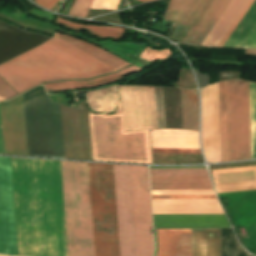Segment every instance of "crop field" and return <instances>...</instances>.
Wrapping results in <instances>:
<instances>
[{"instance_id":"obj_46","label":"crop field","mask_w":256,"mask_h":256,"mask_svg":"<svg viewBox=\"0 0 256 256\" xmlns=\"http://www.w3.org/2000/svg\"><path fill=\"white\" fill-rule=\"evenodd\" d=\"M34 1L50 10L59 0H34Z\"/></svg>"},{"instance_id":"obj_10","label":"crop field","mask_w":256,"mask_h":256,"mask_svg":"<svg viewBox=\"0 0 256 256\" xmlns=\"http://www.w3.org/2000/svg\"><path fill=\"white\" fill-rule=\"evenodd\" d=\"M65 158L92 160L88 113L61 106Z\"/></svg>"},{"instance_id":"obj_12","label":"crop field","mask_w":256,"mask_h":256,"mask_svg":"<svg viewBox=\"0 0 256 256\" xmlns=\"http://www.w3.org/2000/svg\"><path fill=\"white\" fill-rule=\"evenodd\" d=\"M201 140L208 163L220 162L218 83L201 90Z\"/></svg>"},{"instance_id":"obj_27","label":"crop field","mask_w":256,"mask_h":256,"mask_svg":"<svg viewBox=\"0 0 256 256\" xmlns=\"http://www.w3.org/2000/svg\"><path fill=\"white\" fill-rule=\"evenodd\" d=\"M122 75L118 72L112 75H108L102 78L90 80V81H66L53 84H44L47 91L50 90H68V89H80L86 87L100 86L122 79Z\"/></svg>"},{"instance_id":"obj_36","label":"crop field","mask_w":256,"mask_h":256,"mask_svg":"<svg viewBox=\"0 0 256 256\" xmlns=\"http://www.w3.org/2000/svg\"><path fill=\"white\" fill-rule=\"evenodd\" d=\"M171 53L168 48L161 51H154L147 47L144 52L141 54L140 58L146 59L148 61H155L157 59L163 60L169 57Z\"/></svg>"},{"instance_id":"obj_15","label":"crop field","mask_w":256,"mask_h":256,"mask_svg":"<svg viewBox=\"0 0 256 256\" xmlns=\"http://www.w3.org/2000/svg\"><path fill=\"white\" fill-rule=\"evenodd\" d=\"M226 197V207L235 227L244 226L249 238L242 239L247 249L256 253V190L218 194Z\"/></svg>"},{"instance_id":"obj_29","label":"crop field","mask_w":256,"mask_h":256,"mask_svg":"<svg viewBox=\"0 0 256 256\" xmlns=\"http://www.w3.org/2000/svg\"><path fill=\"white\" fill-rule=\"evenodd\" d=\"M58 24L64 25L72 30L78 31L80 28L84 27L88 31L91 32L92 35L97 37H113L114 39H121L123 30L122 28L118 27H104V26H91V25H81L69 22L64 20L60 17L57 18Z\"/></svg>"},{"instance_id":"obj_41","label":"crop field","mask_w":256,"mask_h":256,"mask_svg":"<svg viewBox=\"0 0 256 256\" xmlns=\"http://www.w3.org/2000/svg\"><path fill=\"white\" fill-rule=\"evenodd\" d=\"M152 153H201L200 150L152 149Z\"/></svg>"},{"instance_id":"obj_14","label":"crop field","mask_w":256,"mask_h":256,"mask_svg":"<svg viewBox=\"0 0 256 256\" xmlns=\"http://www.w3.org/2000/svg\"><path fill=\"white\" fill-rule=\"evenodd\" d=\"M151 190L213 189L206 169H150Z\"/></svg>"},{"instance_id":"obj_24","label":"crop field","mask_w":256,"mask_h":256,"mask_svg":"<svg viewBox=\"0 0 256 256\" xmlns=\"http://www.w3.org/2000/svg\"><path fill=\"white\" fill-rule=\"evenodd\" d=\"M221 162L229 161L227 81L219 83Z\"/></svg>"},{"instance_id":"obj_32","label":"crop field","mask_w":256,"mask_h":256,"mask_svg":"<svg viewBox=\"0 0 256 256\" xmlns=\"http://www.w3.org/2000/svg\"><path fill=\"white\" fill-rule=\"evenodd\" d=\"M252 159H256V84L249 82Z\"/></svg>"},{"instance_id":"obj_38","label":"crop field","mask_w":256,"mask_h":256,"mask_svg":"<svg viewBox=\"0 0 256 256\" xmlns=\"http://www.w3.org/2000/svg\"><path fill=\"white\" fill-rule=\"evenodd\" d=\"M254 2V0H249L248 3L246 4V6L244 7V9L241 11V13L239 14V16L237 17V19L234 21V23L232 24V26L230 27V29L227 31V33L225 34V36L223 37V39L220 41V43L218 44V46H223V44L226 42V40L228 39V37L230 36V34L233 32V30L235 29V27L238 25V23L240 22V20L242 19V17L245 15V13L247 12V10L249 9V7L252 5V3Z\"/></svg>"},{"instance_id":"obj_9","label":"crop field","mask_w":256,"mask_h":256,"mask_svg":"<svg viewBox=\"0 0 256 256\" xmlns=\"http://www.w3.org/2000/svg\"><path fill=\"white\" fill-rule=\"evenodd\" d=\"M126 132L157 129L153 87H118Z\"/></svg>"},{"instance_id":"obj_52","label":"crop field","mask_w":256,"mask_h":256,"mask_svg":"<svg viewBox=\"0 0 256 256\" xmlns=\"http://www.w3.org/2000/svg\"><path fill=\"white\" fill-rule=\"evenodd\" d=\"M140 1H144V2H147V1H151V0H140Z\"/></svg>"},{"instance_id":"obj_49","label":"crop field","mask_w":256,"mask_h":256,"mask_svg":"<svg viewBox=\"0 0 256 256\" xmlns=\"http://www.w3.org/2000/svg\"><path fill=\"white\" fill-rule=\"evenodd\" d=\"M219 199H220V201H221L223 207L227 205V203H226V201H225V198H219ZM224 209H225V208H224ZM225 211H226V210H225ZM226 213H227V212H226ZM227 215H228V214H227ZM228 218H229V216H228ZM229 220H230V218H229ZM230 222H231V220H230ZM231 224H232V222H231ZM232 226H233V224H232ZM238 228H239V226L236 227V228H234L235 232H238V231H239Z\"/></svg>"},{"instance_id":"obj_6","label":"crop field","mask_w":256,"mask_h":256,"mask_svg":"<svg viewBox=\"0 0 256 256\" xmlns=\"http://www.w3.org/2000/svg\"><path fill=\"white\" fill-rule=\"evenodd\" d=\"M95 256H119L113 165L88 163Z\"/></svg>"},{"instance_id":"obj_39","label":"crop field","mask_w":256,"mask_h":256,"mask_svg":"<svg viewBox=\"0 0 256 256\" xmlns=\"http://www.w3.org/2000/svg\"><path fill=\"white\" fill-rule=\"evenodd\" d=\"M15 95H17V94L6 83H4L0 79V97L9 99ZM4 98H0V101L7 100Z\"/></svg>"},{"instance_id":"obj_8","label":"crop field","mask_w":256,"mask_h":256,"mask_svg":"<svg viewBox=\"0 0 256 256\" xmlns=\"http://www.w3.org/2000/svg\"><path fill=\"white\" fill-rule=\"evenodd\" d=\"M230 161L251 159L248 82L228 81Z\"/></svg>"},{"instance_id":"obj_17","label":"crop field","mask_w":256,"mask_h":256,"mask_svg":"<svg viewBox=\"0 0 256 256\" xmlns=\"http://www.w3.org/2000/svg\"><path fill=\"white\" fill-rule=\"evenodd\" d=\"M158 254L157 256H192L191 229H157ZM157 235L154 229L157 253Z\"/></svg>"},{"instance_id":"obj_1","label":"crop field","mask_w":256,"mask_h":256,"mask_svg":"<svg viewBox=\"0 0 256 256\" xmlns=\"http://www.w3.org/2000/svg\"><path fill=\"white\" fill-rule=\"evenodd\" d=\"M11 164L18 255L67 256L60 161Z\"/></svg>"},{"instance_id":"obj_26","label":"crop field","mask_w":256,"mask_h":256,"mask_svg":"<svg viewBox=\"0 0 256 256\" xmlns=\"http://www.w3.org/2000/svg\"><path fill=\"white\" fill-rule=\"evenodd\" d=\"M68 34L89 40L91 42H94L130 63H133V61L136 59V57L142 52V50L145 47L144 45H140V44H136V43H132V42H120L118 44L112 43L110 41L97 42V41L91 40L85 36L77 35V34L70 33V32H68ZM128 53L136 56L135 59H134V56H132ZM126 54H128L127 56L133 58L134 60L126 57L125 56Z\"/></svg>"},{"instance_id":"obj_44","label":"crop field","mask_w":256,"mask_h":256,"mask_svg":"<svg viewBox=\"0 0 256 256\" xmlns=\"http://www.w3.org/2000/svg\"><path fill=\"white\" fill-rule=\"evenodd\" d=\"M184 93L189 98V100L191 101V103L194 105V107L196 108V110L198 112V94H197V91L196 90H187V91H184Z\"/></svg>"},{"instance_id":"obj_3","label":"crop field","mask_w":256,"mask_h":256,"mask_svg":"<svg viewBox=\"0 0 256 256\" xmlns=\"http://www.w3.org/2000/svg\"><path fill=\"white\" fill-rule=\"evenodd\" d=\"M120 256H152L147 167L114 165Z\"/></svg>"},{"instance_id":"obj_18","label":"crop field","mask_w":256,"mask_h":256,"mask_svg":"<svg viewBox=\"0 0 256 256\" xmlns=\"http://www.w3.org/2000/svg\"><path fill=\"white\" fill-rule=\"evenodd\" d=\"M154 228L230 227L225 215H153Z\"/></svg>"},{"instance_id":"obj_4","label":"crop field","mask_w":256,"mask_h":256,"mask_svg":"<svg viewBox=\"0 0 256 256\" xmlns=\"http://www.w3.org/2000/svg\"><path fill=\"white\" fill-rule=\"evenodd\" d=\"M68 256H94L87 163L61 161Z\"/></svg>"},{"instance_id":"obj_31","label":"crop field","mask_w":256,"mask_h":256,"mask_svg":"<svg viewBox=\"0 0 256 256\" xmlns=\"http://www.w3.org/2000/svg\"><path fill=\"white\" fill-rule=\"evenodd\" d=\"M239 245L233 231L222 229V256H250Z\"/></svg>"},{"instance_id":"obj_20","label":"crop field","mask_w":256,"mask_h":256,"mask_svg":"<svg viewBox=\"0 0 256 256\" xmlns=\"http://www.w3.org/2000/svg\"><path fill=\"white\" fill-rule=\"evenodd\" d=\"M193 256H221V229H192Z\"/></svg>"},{"instance_id":"obj_28","label":"crop field","mask_w":256,"mask_h":256,"mask_svg":"<svg viewBox=\"0 0 256 256\" xmlns=\"http://www.w3.org/2000/svg\"><path fill=\"white\" fill-rule=\"evenodd\" d=\"M256 22V0L248 10L246 15L243 17L239 25L236 27L234 32L231 34L227 42L224 44L226 47H239L241 42L244 40L250 29Z\"/></svg>"},{"instance_id":"obj_2","label":"crop field","mask_w":256,"mask_h":256,"mask_svg":"<svg viewBox=\"0 0 256 256\" xmlns=\"http://www.w3.org/2000/svg\"><path fill=\"white\" fill-rule=\"evenodd\" d=\"M112 71L116 69L57 37L0 65V77L18 94L42 82L89 78Z\"/></svg>"},{"instance_id":"obj_23","label":"crop field","mask_w":256,"mask_h":256,"mask_svg":"<svg viewBox=\"0 0 256 256\" xmlns=\"http://www.w3.org/2000/svg\"><path fill=\"white\" fill-rule=\"evenodd\" d=\"M55 36L65 40L66 42L76 46L77 48L87 52L88 54L96 57L97 59L107 63L108 65L120 70L128 65L129 63L123 61L122 59L112 55L111 53L97 47L94 45H91L89 43L83 42L79 39H75L69 36L61 35V34H55Z\"/></svg>"},{"instance_id":"obj_33","label":"crop field","mask_w":256,"mask_h":256,"mask_svg":"<svg viewBox=\"0 0 256 256\" xmlns=\"http://www.w3.org/2000/svg\"><path fill=\"white\" fill-rule=\"evenodd\" d=\"M158 129L165 128V112L162 87H154Z\"/></svg>"},{"instance_id":"obj_47","label":"crop field","mask_w":256,"mask_h":256,"mask_svg":"<svg viewBox=\"0 0 256 256\" xmlns=\"http://www.w3.org/2000/svg\"><path fill=\"white\" fill-rule=\"evenodd\" d=\"M141 70L142 69H140V68H138V67L133 65L131 67H128V68H125V69L121 70L120 72H121V74L123 76H125V75H129V74L137 73V72H139Z\"/></svg>"},{"instance_id":"obj_5","label":"crop field","mask_w":256,"mask_h":256,"mask_svg":"<svg viewBox=\"0 0 256 256\" xmlns=\"http://www.w3.org/2000/svg\"><path fill=\"white\" fill-rule=\"evenodd\" d=\"M116 115L90 118L93 160L151 164L148 130L125 133L122 106Z\"/></svg>"},{"instance_id":"obj_34","label":"crop field","mask_w":256,"mask_h":256,"mask_svg":"<svg viewBox=\"0 0 256 256\" xmlns=\"http://www.w3.org/2000/svg\"><path fill=\"white\" fill-rule=\"evenodd\" d=\"M93 0H75L68 15L85 18Z\"/></svg>"},{"instance_id":"obj_22","label":"crop field","mask_w":256,"mask_h":256,"mask_svg":"<svg viewBox=\"0 0 256 256\" xmlns=\"http://www.w3.org/2000/svg\"><path fill=\"white\" fill-rule=\"evenodd\" d=\"M248 0H232L201 45L217 46Z\"/></svg>"},{"instance_id":"obj_25","label":"crop field","mask_w":256,"mask_h":256,"mask_svg":"<svg viewBox=\"0 0 256 256\" xmlns=\"http://www.w3.org/2000/svg\"><path fill=\"white\" fill-rule=\"evenodd\" d=\"M85 94L88 105L93 109V112L114 110V99L117 97V92L114 86L86 92Z\"/></svg>"},{"instance_id":"obj_7","label":"crop field","mask_w":256,"mask_h":256,"mask_svg":"<svg viewBox=\"0 0 256 256\" xmlns=\"http://www.w3.org/2000/svg\"><path fill=\"white\" fill-rule=\"evenodd\" d=\"M231 0H170L166 19L192 27L183 43L200 45Z\"/></svg>"},{"instance_id":"obj_19","label":"crop field","mask_w":256,"mask_h":256,"mask_svg":"<svg viewBox=\"0 0 256 256\" xmlns=\"http://www.w3.org/2000/svg\"><path fill=\"white\" fill-rule=\"evenodd\" d=\"M152 148L200 149L198 132L185 130L150 131Z\"/></svg>"},{"instance_id":"obj_43","label":"crop field","mask_w":256,"mask_h":256,"mask_svg":"<svg viewBox=\"0 0 256 256\" xmlns=\"http://www.w3.org/2000/svg\"><path fill=\"white\" fill-rule=\"evenodd\" d=\"M217 198L216 196H152V199Z\"/></svg>"},{"instance_id":"obj_37","label":"crop field","mask_w":256,"mask_h":256,"mask_svg":"<svg viewBox=\"0 0 256 256\" xmlns=\"http://www.w3.org/2000/svg\"><path fill=\"white\" fill-rule=\"evenodd\" d=\"M119 0H94L90 9L116 10Z\"/></svg>"},{"instance_id":"obj_48","label":"crop field","mask_w":256,"mask_h":256,"mask_svg":"<svg viewBox=\"0 0 256 256\" xmlns=\"http://www.w3.org/2000/svg\"><path fill=\"white\" fill-rule=\"evenodd\" d=\"M0 154H4L3 139H2V129H1V118H0Z\"/></svg>"},{"instance_id":"obj_21","label":"crop field","mask_w":256,"mask_h":256,"mask_svg":"<svg viewBox=\"0 0 256 256\" xmlns=\"http://www.w3.org/2000/svg\"><path fill=\"white\" fill-rule=\"evenodd\" d=\"M218 193L256 189V170L212 175Z\"/></svg>"},{"instance_id":"obj_45","label":"crop field","mask_w":256,"mask_h":256,"mask_svg":"<svg viewBox=\"0 0 256 256\" xmlns=\"http://www.w3.org/2000/svg\"><path fill=\"white\" fill-rule=\"evenodd\" d=\"M255 167H245V168H235V169H225V170H215V171H211L212 174H216V173H226V172H235V171H245V170H255Z\"/></svg>"},{"instance_id":"obj_40","label":"crop field","mask_w":256,"mask_h":256,"mask_svg":"<svg viewBox=\"0 0 256 256\" xmlns=\"http://www.w3.org/2000/svg\"><path fill=\"white\" fill-rule=\"evenodd\" d=\"M198 79L199 87H203L210 84L209 74L200 73L201 69L194 68Z\"/></svg>"},{"instance_id":"obj_51","label":"crop field","mask_w":256,"mask_h":256,"mask_svg":"<svg viewBox=\"0 0 256 256\" xmlns=\"http://www.w3.org/2000/svg\"><path fill=\"white\" fill-rule=\"evenodd\" d=\"M250 48H256V39H255V41L253 42V44L250 46Z\"/></svg>"},{"instance_id":"obj_11","label":"crop field","mask_w":256,"mask_h":256,"mask_svg":"<svg viewBox=\"0 0 256 256\" xmlns=\"http://www.w3.org/2000/svg\"><path fill=\"white\" fill-rule=\"evenodd\" d=\"M0 254L17 255L10 158L0 157Z\"/></svg>"},{"instance_id":"obj_50","label":"crop field","mask_w":256,"mask_h":256,"mask_svg":"<svg viewBox=\"0 0 256 256\" xmlns=\"http://www.w3.org/2000/svg\"><path fill=\"white\" fill-rule=\"evenodd\" d=\"M246 54H248V55H256V50H246Z\"/></svg>"},{"instance_id":"obj_42","label":"crop field","mask_w":256,"mask_h":256,"mask_svg":"<svg viewBox=\"0 0 256 256\" xmlns=\"http://www.w3.org/2000/svg\"><path fill=\"white\" fill-rule=\"evenodd\" d=\"M255 38H256V24L251 29V31L249 32V34L247 35L245 40L242 42L240 47H247V48H249V46L252 44V42L254 41Z\"/></svg>"},{"instance_id":"obj_16","label":"crop field","mask_w":256,"mask_h":256,"mask_svg":"<svg viewBox=\"0 0 256 256\" xmlns=\"http://www.w3.org/2000/svg\"><path fill=\"white\" fill-rule=\"evenodd\" d=\"M153 214H224L217 199L152 200Z\"/></svg>"},{"instance_id":"obj_30","label":"crop field","mask_w":256,"mask_h":256,"mask_svg":"<svg viewBox=\"0 0 256 256\" xmlns=\"http://www.w3.org/2000/svg\"><path fill=\"white\" fill-rule=\"evenodd\" d=\"M181 95V121L182 129L198 130V115L193 105L185 94L180 90Z\"/></svg>"},{"instance_id":"obj_35","label":"crop field","mask_w":256,"mask_h":256,"mask_svg":"<svg viewBox=\"0 0 256 256\" xmlns=\"http://www.w3.org/2000/svg\"><path fill=\"white\" fill-rule=\"evenodd\" d=\"M152 195H215L213 190L151 191Z\"/></svg>"},{"instance_id":"obj_13","label":"crop field","mask_w":256,"mask_h":256,"mask_svg":"<svg viewBox=\"0 0 256 256\" xmlns=\"http://www.w3.org/2000/svg\"><path fill=\"white\" fill-rule=\"evenodd\" d=\"M0 108L5 154L27 156L22 95Z\"/></svg>"}]
</instances>
